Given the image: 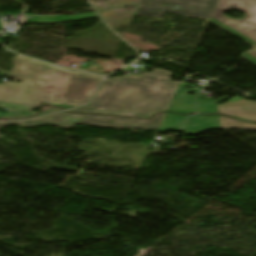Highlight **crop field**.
<instances>
[{"label":"crop field","instance_id":"obj_12","mask_svg":"<svg viewBox=\"0 0 256 256\" xmlns=\"http://www.w3.org/2000/svg\"><path fill=\"white\" fill-rule=\"evenodd\" d=\"M185 117L167 112L158 132L178 131Z\"/></svg>","mask_w":256,"mask_h":256},{"label":"crop field","instance_id":"obj_11","mask_svg":"<svg viewBox=\"0 0 256 256\" xmlns=\"http://www.w3.org/2000/svg\"><path fill=\"white\" fill-rule=\"evenodd\" d=\"M95 13L78 14L74 16H35L29 23L32 24H56L69 23L78 20L97 18Z\"/></svg>","mask_w":256,"mask_h":256},{"label":"crop field","instance_id":"obj_16","mask_svg":"<svg viewBox=\"0 0 256 256\" xmlns=\"http://www.w3.org/2000/svg\"><path fill=\"white\" fill-rule=\"evenodd\" d=\"M10 124H17V122H12V123H0V128L1 127H4V126H7V125H10ZM2 136H0L1 138Z\"/></svg>","mask_w":256,"mask_h":256},{"label":"crop field","instance_id":"obj_5","mask_svg":"<svg viewBox=\"0 0 256 256\" xmlns=\"http://www.w3.org/2000/svg\"><path fill=\"white\" fill-rule=\"evenodd\" d=\"M218 0H141L136 15L161 17L164 11L209 19Z\"/></svg>","mask_w":256,"mask_h":256},{"label":"crop field","instance_id":"obj_4","mask_svg":"<svg viewBox=\"0 0 256 256\" xmlns=\"http://www.w3.org/2000/svg\"><path fill=\"white\" fill-rule=\"evenodd\" d=\"M227 10H240L245 15L242 19H232L223 16ZM210 21L230 32L256 43V0H219ZM244 58L256 64V51L247 53Z\"/></svg>","mask_w":256,"mask_h":256},{"label":"crop field","instance_id":"obj_7","mask_svg":"<svg viewBox=\"0 0 256 256\" xmlns=\"http://www.w3.org/2000/svg\"><path fill=\"white\" fill-rule=\"evenodd\" d=\"M223 114L243 118L248 121H256V102L243 101L217 106Z\"/></svg>","mask_w":256,"mask_h":256},{"label":"crop field","instance_id":"obj_9","mask_svg":"<svg viewBox=\"0 0 256 256\" xmlns=\"http://www.w3.org/2000/svg\"><path fill=\"white\" fill-rule=\"evenodd\" d=\"M180 85L168 110L178 114L195 112L194 97L188 95L189 90Z\"/></svg>","mask_w":256,"mask_h":256},{"label":"crop field","instance_id":"obj_10","mask_svg":"<svg viewBox=\"0 0 256 256\" xmlns=\"http://www.w3.org/2000/svg\"><path fill=\"white\" fill-rule=\"evenodd\" d=\"M40 105L42 104L0 101V108H5L8 110H32ZM34 114H36V112H32V111L8 112L5 117H2V115H0V118H5V119L23 118V117H28Z\"/></svg>","mask_w":256,"mask_h":256},{"label":"crop field","instance_id":"obj_14","mask_svg":"<svg viewBox=\"0 0 256 256\" xmlns=\"http://www.w3.org/2000/svg\"><path fill=\"white\" fill-rule=\"evenodd\" d=\"M221 129L256 130V125L219 116Z\"/></svg>","mask_w":256,"mask_h":256},{"label":"crop field","instance_id":"obj_13","mask_svg":"<svg viewBox=\"0 0 256 256\" xmlns=\"http://www.w3.org/2000/svg\"><path fill=\"white\" fill-rule=\"evenodd\" d=\"M227 98L228 96H223L217 100L197 98L198 112L203 114L216 112L217 111L216 105Z\"/></svg>","mask_w":256,"mask_h":256},{"label":"crop field","instance_id":"obj_6","mask_svg":"<svg viewBox=\"0 0 256 256\" xmlns=\"http://www.w3.org/2000/svg\"><path fill=\"white\" fill-rule=\"evenodd\" d=\"M102 79L96 75L72 70L64 104L83 105L99 85Z\"/></svg>","mask_w":256,"mask_h":256},{"label":"crop field","instance_id":"obj_2","mask_svg":"<svg viewBox=\"0 0 256 256\" xmlns=\"http://www.w3.org/2000/svg\"><path fill=\"white\" fill-rule=\"evenodd\" d=\"M10 73L0 74L23 83L0 84V100L63 104L71 70L22 55L13 58Z\"/></svg>","mask_w":256,"mask_h":256},{"label":"crop field","instance_id":"obj_1","mask_svg":"<svg viewBox=\"0 0 256 256\" xmlns=\"http://www.w3.org/2000/svg\"><path fill=\"white\" fill-rule=\"evenodd\" d=\"M172 73L152 69L142 76L111 77L94 96L89 106L72 111L111 115L150 117L167 110L179 86L170 81Z\"/></svg>","mask_w":256,"mask_h":256},{"label":"crop field","instance_id":"obj_15","mask_svg":"<svg viewBox=\"0 0 256 256\" xmlns=\"http://www.w3.org/2000/svg\"><path fill=\"white\" fill-rule=\"evenodd\" d=\"M60 108H53V107H43V111L41 114H46V113H51V112H55V111H60ZM39 114V115H41Z\"/></svg>","mask_w":256,"mask_h":256},{"label":"crop field","instance_id":"obj_3","mask_svg":"<svg viewBox=\"0 0 256 256\" xmlns=\"http://www.w3.org/2000/svg\"><path fill=\"white\" fill-rule=\"evenodd\" d=\"M165 114L166 112L159 113L156 116H153L151 120L146 121L140 119L60 113L18 123H21L24 126L50 124L61 128H70L73 123H77L117 128L133 127L137 129H158Z\"/></svg>","mask_w":256,"mask_h":256},{"label":"crop field","instance_id":"obj_8","mask_svg":"<svg viewBox=\"0 0 256 256\" xmlns=\"http://www.w3.org/2000/svg\"><path fill=\"white\" fill-rule=\"evenodd\" d=\"M220 129L218 116H202L188 118L182 132L186 135L200 134L206 130Z\"/></svg>","mask_w":256,"mask_h":256}]
</instances>
